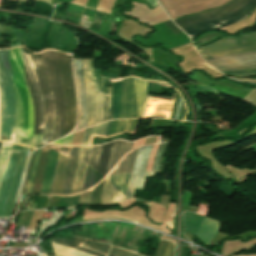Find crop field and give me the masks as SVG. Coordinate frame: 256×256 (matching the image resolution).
Returning <instances> with one entry per match:
<instances>
[{
	"instance_id": "8a807250",
	"label": "crop field",
	"mask_w": 256,
	"mask_h": 256,
	"mask_svg": "<svg viewBox=\"0 0 256 256\" xmlns=\"http://www.w3.org/2000/svg\"><path fill=\"white\" fill-rule=\"evenodd\" d=\"M21 49L26 85L34 107V133H43L42 146L74 128L75 97L69 58L53 50L24 54Z\"/></svg>"
},
{
	"instance_id": "ac0d7876",
	"label": "crop field",
	"mask_w": 256,
	"mask_h": 256,
	"mask_svg": "<svg viewBox=\"0 0 256 256\" xmlns=\"http://www.w3.org/2000/svg\"><path fill=\"white\" fill-rule=\"evenodd\" d=\"M85 147H72L70 156L60 155L50 194H73L84 191L103 179L96 170L81 162ZM123 197L104 179L94 188L82 192L81 203H110Z\"/></svg>"
},
{
	"instance_id": "34b2d1b8",
	"label": "crop field",
	"mask_w": 256,
	"mask_h": 256,
	"mask_svg": "<svg viewBox=\"0 0 256 256\" xmlns=\"http://www.w3.org/2000/svg\"><path fill=\"white\" fill-rule=\"evenodd\" d=\"M133 143L117 140L104 145L86 147L82 161L105 177L118 161L131 151ZM137 149L126 155L118 166L105 177L123 197L125 196Z\"/></svg>"
},
{
	"instance_id": "412701ff",
	"label": "crop field",
	"mask_w": 256,
	"mask_h": 256,
	"mask_svg": "<svg viewBox=\"0 0 256 256\" xmlns=\"http://www.w3.org/2000/svg\"><path fill=\"white\" fill-rule=\"evenodd\" d=\"M83 71H84V81L87 91V108H88V117L86 124V91L83 82V72L81 60H74L79 104L81 118L77 127V130L91 126L94 124L101 123L105 120L112 119L111 105H110V96L101 95L92 90L90 86L89 78V60H82ZM111 125V121L105 122L103 124L96 125L95 127L85 131L84 139L82 145H89L92 135L107 136L108 131ZM76 130V131H77Z\"/></svg>"
},
{
	"instance_id": "f4fd0767",
	"label": "crop field",
	"mask_w": 256,
	"mask_h": 256,
	"mask_svg": "<svg viewBox=\"0 0 256 256\" xmlns=\"http://www.w3.org/2000/svg\"><path fill=\"white\" fill-rule=\"evenodd\" d=\"M248 0H234L233 2L214 10L206 11L203 13H199L196 15H192L189 17L181 18L178 20H174V22L182 27L190 24H194L197 22L213 19L216 17L228 15L235 11L236 9L243 6ZM256 6V0H249L243 7L238 9L237 11L233 12L232 14L220 18H216L213 20L197 23L194 25L182 27V29L192 38L194 39L198 34L209 31V30H215L220 29L225 26L234 24L236 22H239L246 17H248L253 9Z\"/></svg>"
},
{
	"instance_id": "dd49c442",
	"label": "crop field",
	"mask_w": 256,
	"mask_h": 256,
	"mask_svg": "<svg viewBox=\"0 0 256 256\" xmlns=\"http://www.w3.org/2000/svg\"><path fill=\"white\" fill-rule=\"evenodd\" d=\"M16 98L15 142L27 145L28 99L20 47L8 49Z\"/></svg>"
},
{
	"instance_id": "e52e79f7",
	"label": "crop field",
	"mask_w": 256,
	"mask_h": 256,
	"mask_svg": "<svg viewBox=\"0 0 256 256\" xmlns=\"http://www.w3.org/2000/svg\"><path fill=\"white\" fill-rule=\"evenodd\" d=\"M1 140L14 142L15 99L7 49L0 50Z\"/></svg>"
},
{
	"instance_id": "d8731c3e",
	"label": "crop field",
	"mask_w": 256,
	"mask_h": 256,
	"mask_svg": "<svg viewBox=\"0 0 256 256\" xmlns=\"http://www.w3.org/2000/svg\"><path fill=\"white\" fill-rule=\"evenodd\" d=\"M29 148L13 145L9 164L0 192V217L10 215L12 205L17 193L23 168L27 159Z\"/></svg>"
},
{
	"instance_id": "5a996713",
	"label": "crop field",
	"mask_w": 256,
	"mask_h": 256,
	"mask_svg": "<svg viewBox=\"0 0 256 256\" xmlns=\"http://www.w3.org/2000/svg\"><path fill=\"white\" fill-rule=\"evenodd\" d=\"M113 119L138 117L133 77L110 87Z\"/></svg>"
},
{
	"instance_id": "3316defc",
	"label": "crop field",
	"mask_w": 256,
	"mask_h": 256,
	"mask_svg": "<svg viewBox=\"0 0 256 256\" xmlns=\"http://www.w3.org/2000/svg\"><path fill=\"white\" fill-rule=\"evenodd\" d=\"M203 57L256 51V32L223 38L198 49Z\"/></svg>"
},
{
	"instance_id": "28ad6ade",
	"label": "crop field",
	"mask_w": 256,
	"mask_h": 256,
	"mask_svg": "<svg viewBox=\"0 0 256 256\" xmlns=\"http://www.w3.org/2000/svg\"><path fill=\"white\" fill-rule=\"evenodd\" d=\"M163 144L164 143L160 144L157 150V153L153 162L152 172H146V169H147L149 155L154 145L144 146L139 149V153L134 166V170L132 173L126 198L133 197L134 188L143 189L145 176H155L156 162Z\"/></svg>"
},
{
	"instance_id": "d1516ede",
	"label": "crop field",
	"mask_w": 256,
	"mask_h": 256,
	"mask_svg": "<svg viewBox=\"0 0 256 256\" xmlns=\"http://www.w3.org/2000/svg\"><path fill=\"white\" fill-rule=\"evenodd\" d=\"M221 72L256 67V52L205 58Z\"/></svg>"
},
{
	"instance_id": "22f410ed",
	"label": "crop field",
	"mask_w": 256,
	"mask_h": 256,
	"mask_svg": "<svg viewBox=\"0 0 256 256\" xmlns=\"http://www.w3.org/2000/svg\"><path fill=\"white\" fill-rule=\"evenodd\" d=\"M53 241H56L58 243L70 246L72 248L84 251L86 253H89V254H92V255H95V256H106V254H102V253H99V252L88 250V249H85L83 247H78L79 243L82 242V243L87 244V246H86L87 248L107 252V253H109L108 256H140L138 254L129 252V251L124 250V249L115 248V247H111V246L104 245V244H101V243H97V242H94V241L79 239V238H75V237H73L71 241L62 240V239H56V240H53Z\"/></svg>"
},
{
	"instance_id": "cbeb9de0",
	"label": "crop field",
	"mask_w": 256,
	"mask_h": 256,
	"mask_svg": "<svg viewBox=\"0 0 256 256\" xmlns=\"http://www.w3.org/2000/svg\"><path fill=\"white\" fill-rule=\"evenodd\" d=\"M39 155H40V148L36 150V156H35V160H34V164H33V168L30 174V178H29V182H28V187H27V191L25 196L29 193L30 188H31V183L33 180V176H34V172H35V168L36 165L38 163L39 160ZM59 153L50 150L49 152V161H48V167H47V172H46V176H45V180H44V184L42 187V191L41 192H45V193H49L50 192V188H51V184L53 181V177H54V173H55V169H56V165H57V161L59 158Z\"/></svg>"
},
{
	"instance_id": "5142ce71",
	"label": "crop field",
	"mask_w": 256,
	"mask_h": 256,
	"mask_svg": "<svg viewBox=\"0 0 256 256\" xmlns=\"http://www.w3.org/2000/svg\"><path fill=\"white\" fill-rule=\"evenodd\" d=\"M138 119L113 120L109 135L122 131L134 132Z\"/></svg>"
},
{
	"instance_id": "d9b57169",
	"label": "crop field",
	"mask_w": 256,
	"mask_h": 256,
	"mask_svg": "<svg viewBox=\"0 0 256 256\" xmlns=\"http://www.w3.org/2000/svg\"><path fill=\"white\" fill-rule=\"evenodd\" d=\"M183 216L186 223L185 230L196 235L204 218L190 212H183Z\"/></svg>"
},
{
	"instance_id": "733c2abd",
	"label": "crop field",
	"mask_w": 256,
	"mask_h": 256,
	"mask_svg": "<svg viewBox=\"0 0 256 256\" xmlns=\"http://www.w3.org/2000/svg\"><path fill=\"white\" fill-rule=\"evenodd\" d=\"M12 145L13 144L3 142L0 150V187L4 177L8 159L10 156Z\"/></svg>"
},
{
	"instance_id": "4a817a6b",
	"label": "crop field",
	"mask_w": 256,
	"mask_h": 256,
	"mask_svg": "<svg viewBox=\"0 0 256 256\" xmlns=\"http://www.w3.org/2000/svg\"><path fill=\"white\" fill-rule=\"evenodd\" d=\"M174 244L160 240L158 249L154 256H173Z\"/></svg>"
},
{
	"instance_id": "bc2a9ffb",
	"label": "crop field",
	"mask_w": 256,
	"mask_h": 256,
	"mask_svg": "<svg viewBox=\"0 0 256 256\" xmlns=\"http://www.w3.org/2000/svg\"><path fill=\"white\" fill-rule=\"evenodd\" d=\"M224 74L236 76V77H252V76H256V68L248 69V70L233 71V72H225Z\"/></svg>"
},
{
	"instance_id": "214f88e0",
	"label": "crop field",
	"mask_w": 256,
	"mask_h": 256,
	"mask_svg": "<svg viewBox=\"0 0 256 256\" xmlns=\"http://www.w3.org/2000/svg\"><path fill=\"white\" fill-rule=\"evenodd\" d=\"M136 93L147 94L145 81L134 77Z\"/></svg>"
},
{
	"instance_id": "92a150f3",
	"label": "crop field",
	"mask_w": 256,
	"mask_h": 256,
	"mask_svg": "<svg viewBox=\"0 0 256 256\" xmlns=\"http://www.w3.org/2000/svg\"><path fill=\"white\" fill-rule=\"evenodd\" d=\"M169 142L165 143L164 146H163V149H162V151L160 153V156H159V159H158L156 172L160 171V169H161L162 160L164 158V155H165V152L167 150Z\"/></svg>"
},
{
	"instance_id": "dafd665d",
	"label": "crop field",
	"mask_w": 256,
	"mask_h": 256,
	"mask_svg": "<svg viewBox=\"0 0 256 256\" xmlns=\"http://www.w3.org/2000/svg\"><path fill=\"white\" fill-rule=\"evenodd\" d=\"M164 24L170 28L175 34L181 33V31L175 26L172 21L164 22Z\"/></svg>"
},
{
	"instance_id": "00972430",
	"label": "crop field",
	"mask_w": 256,
	"mask_h": 256,
	"mask_svg": "<svg viewBox=\"0 0 256 256\" xmlns=\"http://www.w3.org/2000/svg\"><path fill=\"white\" fill-rule=\"evenodd\" d=\"M233 79H235V78H233ZM236 80L244 81V82L256 83V80H251V79H249V78H246V79H236Z\"/></svg>"
},
{
	"instance_id": "a9b5d70f",
	"label": "crop field",
	"mask_w": 256,
	"mask_h": 256,
	"mask_svg": "<svg viewBox=\"0 0 256 256\" xmlns=\"http://www.w3.org/2000/svg\"><path fill=\"white\" fill-rule=\"evenodd\" d=\"M153 7L156 6L158 3L156 0H147Z\"/></svg>"
},
{
	"instance_id": "4177f3b9",
	"label": "crop field",
	"mask_w": 256,
	"mask_h": 256,
	"mask_svg": "<svg viewBox=\"0 0 256 256\" xmlns=\"http://www.w3.org/2000/svg\"><path fill=\"white\" fill-rule=\"evenodd\" d=\"M1 143H2V142H0V147H1Z\"/></svg>"
}]
</instances>
